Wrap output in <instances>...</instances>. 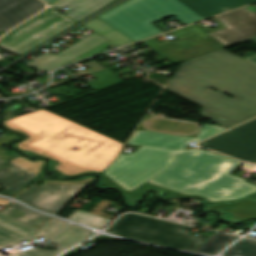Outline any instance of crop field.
<instances>
[{"instance_id":"6","label":"crop field","mask_w":256,"mask_h":256,"mask_svg":"<svg viewBox=\"0 0 256 256\" xmlns=\"http://www.w3.org/2000/svg\"><path fill=\"white\" fill-rule=\"evenodd\" d=\"M193 227L135 214L122 216L107 232L159 245L194 251L208 236H191Z\"/></svg>"},{"instance_id":"32","label":"crop field","mask_w":256,"mask_h":256,"mask_svg":"<svg viewBox=\"0 0 256 256\" xmlns=\"http://www.w3.org/2000/svg\"><path fill=\"white\" fill-rule=\"evenodd\" d=\"M251 40H253V41H255V42H256V38L251 39ZM248 60H250V61H252V62L256 63V56H252V57L248 58Z\"/></svg>"},{"instance_id":"1","label":"crop field","mask_w":256,"mask_h":256,"mask_svg":"<svg viewBox=\"0 0 256 256\" xmlns=\"http://www.w3.org/2000/svg\"><path fill=\"white\" fill-rule=\"evenodd\" d=\"M166 89L202 106V116L227 128L256 116V66L223 49L183 62Z\"/></svg>"},{"instance_id":"27","label":"crop field","mask_w":256,"mask_h":256,"mask_svg":"<svg viewBox=\"0 0 256 256\" xmlns=\"http://www.w3.org/2000/svg\"><path fill=\"white\" fill-rule=\"evenodd\" d=\"M109 45H113V46L117 47L116 45H114V44H112L111 42L108 41V42L102 44L101 46H99V47L93 49L92 51H90V52L84 54L83 56H81V57H79V58H77V59H75V60H73V61H71V62H69V63H72V62H75V61H79V60H82V59L91 57V56L97 54L98 52H100L102 49H104L105 47H107V46H109ZM69 63H67V64H69Z\"/></svg>"},{"instance_id":"20","label":"crop field","mask_w":256,"mask_h":256,"mask_svg":"<svg viewBox=\"0 0 256 256\" xmlns=\"http://www.w3.org/2000/svg\"><path fill=\"white\" fill-rule=\"evenodd\" d=\"M112 1L113 0H84L82 2L70 5L75 10L65 15L79 22Z\"/></svg>"},{"instance_id":"16","label":"crop field","mask_w":256,"mask_h":256,"mask_svg":"<svg viewBox=\"0 0 256 256\" xmlns=\"http://www.w3.org/2000/svg\"><path fill=\"white\" fill-rule=\"evenodd\" d=\"M35 177L36 175L10 162L0 170V186L3 187L0 194L12 197Z\"/></svg>"},{"instance_id":"22","label":"crop field","mask_w":256,"mask_h":256,"mask_svg":"<svg viewBox=\"0 0 256 256\" xmlns=\"http://www.w3.org/2000/svg\"><path fill=\"white\" fill-rule=\"evenodd\" d=\"M253 216H256V203L246 202L233 207L221 218L228 222H236Z\"/></svg>"},{"instance_id":"28","label":"crop field","mask_w":256,"mask_h":256,"mask_svg":"<svg viewBox=\"0 0 256 256\" xmlns=\"http://www.w3.org/2000/svg\"><path fill=\"white\" fill-rule=\"evenodd\" d=\"M94 181L93 176L85 177L81 181H73V182H55V181H46L44 183H53V184H76V183H91Z\"/></svg>"},{"instance_id":"21","label":"crop field","mask_w":256,"mask_h":256,"mask_svg":"<svg viewBox=\"0 0 256 256\" xmlns=\"http://www.w3.org/2000/svg\"><path fill=\"white\" fill-rule=\"evenodd\" d=\"M235 237L214 232L204 243H202L195 251L215 254L222 248L234 241Z\"/></svg>"},{"instance_id":"3","label":"crop field","mask_w":256,"mask_h":256,"mask_svg":"<svg viewBox=\"0 0 256 256\" xmlns=\"http://www.w3.org/2000/svg\"><path fill=\"white\" fill-rule=\"evenodd\" d=\"M7 121L42 137L30 145L82 167L102 170L123 146L44 109Z\"/></svg>"},{"instance_id":"11","label":"crop field","mask_w":256,"mask_h":256,"mask_svg":"<svg viewBox=\"0 0 256 256\" xmlns=\"http://www.w3.org/2000/svg\"><path fill=\"white\" fill-rule=\"evenodd\" d=\"M215 19L227 28L208 35L225 47L256 37V12L252 13L244 8L216 17Z\"/></svg>"},{"instance_id":"34","label":"crop field","mask_w":256,"mask_h":256,"mask_svg":"<svg viewBox=\"0 0 256 256\" xmlns=\"http://www.w3.org/2000/svg\"><path fill=\"white\" fill-rule=\"evenodd\" d=\"M4 163L3 159L0 158V166Z\"/></svg>"},{"instance_id":"7","label":"crop field","mask_w":256,"mask_h":256,"mask_svg":"<svg viewBox=\"0 0 256 256\" xmlns=\"http://www.w3.org/2000/svg\"><path fill=\"white\" fill-rule=\"evenodd\" d=\"M76 23L50 8L5 35L0 48L21 55Z\"/></svg>"},{"instance_id":"33","label":"crop field","mask_w":256,"mask_h":256,"mask_svg":"<svg viewBox=\"0 0 256 256\" xmlns=\"http://www.w3.org/2000/svg\"><path fill=\"white\" fill-rule=\"evenodd\" d=\"M46 2H48L50 5L56 3L58 0H44Z\"/></svg>"},{"instance_id":"2","label":"crop field","mask_w":256,"mask_h":256,"mask_svg":"<svg viewBox=\"0 0 256 256\" xmlns=\"http://www.w3.org/2000/svg\"><path fill=\"white\" fill-rule=\"evenodd\" d=\"M242 162L200 149L179 152L169 168L126 195L133 205L147 188L160 187L172 197L200 195L209 202L239 200L256 192V186L230 175Z\"/></svg>"},{"instance_id":"30","label":"crop field","mask_w":256,"mask_h":256,"mask_svg":"<svg viewBox=\"0 0 256 256\" xmlns=\"http://www.w3.org/2000/svg\"><path fill=\"white\" fill-rule=\"evenodd\" d=\"M79 1H82V0H64L60 4H58V5L54 6V7L59 9V8H62L64 6H67V5H70V4L79 2Z\"/></svg>"},{"instance_id":"25","label":"crop field","mask_w":256,"mask_h":256,"mask_svg":"<svg viewBox=\"0 0 256 256\" xmlns=\"http://www.w3.org/2000/svg\"><path fill=\"white\" fill-rule=\"evenodd\" d=\"M12 162L37 174V175L44 163L42 161H36L35 163H32V162H28L26 159H23V158H17L15 160H13Z\"/></svg>"},{"instance_id":"18","label":"crop field","mask_w":256,"mask_h":256,"mask_svg":"<svg viewBox=\"0 0 256 256\" xmlns=\"http://www.w3.org/2000/svg\"><path fill=\"white\" fill-rule=\"evenodd\" d=\"M92 232L69 225L50 242L58 244V247L66 250L76 244L85 241L88 237L92 236Z\"/></svg>"},{"instance_id":"12","label":"crop field","mask_w":256,"mask_h":256,"mask_svg":"<svg viewBox=\"0 0 256 256\" xmlns=\"http://www.w3.org/2000/svg\"><path fill=\"white\" fill-rule=\"evenodd\" d=\"M224 130L225 129L219 126L203 125L196 139L191 137L136 131L128 144L145 145L182 151L189 142H200Z\"/></svg>"},{"instance_id":"10","label":"crop field","mask_w":256,"mask_h":256,"mask_svg":"<svg viewBox=\"0 0 256 256\" xmlns=\"http://www.w3.org/2000/svg\"><path fill=\"white\" fill-rule=\"evenodd\" d=\"M88 185L89 184H43L40 187H32L20 195L17 199L35 209L43 210L47 213L56 215L72 198H74Z\"/></svg>"},{"instance_id":"26","label":"crop field","mask_w":256,"mask_h":256,"mask_svg":"<svg viewBox=\"0 0 256 256\" xmlns=\"http://www.w3.org/2000/svg\"><path fill=\"white\" fill-rule=\"evenodd\" d=\"M246 200L256 201V195H254V196H252V197H250ZM238 202H240V201H238ZM238 202L213 204L211 206H208V207L204 208L203 210H208V209H211V208L228 210V209L232 208L233 206H235Z\"/></svg>"},{"instance_id":"9","label":"crop field","mask_w":256,"mask_h":256,"mask_svg":"<svg viewBox=\"0 0 256 256\" xmlns=\"http://www.w3.org/2000/svg\"><path fill=\"white\" fill-rule=\"evenodd\" d=\"M199 145L243 161L256 163V119Z\"/></svg>"},{"instance_id":"13","label":"crop field","mask_w":256,"mask_h":256,"mask_svg":"<svg viewBox=\"0 0 256 256\" xmlns=\"http://www.w3.org/2000/svg\"><path fill=\"white\" fill-rule=\"evenodd\" d=\"M106 41L108 40L94 33L56 55L48 53L29 65L43 71H48L62 66Z\"/></svg>"},{"instance_id":"31","label":"crop field","mask_w":256,"mask_h":256,"mask_svg":"<svg viewBox=\"0 0 256 256\" xmlns=\"http://www.w3.org/2000/svg\"><path fill=\"white\" fill-rule=\"evenodd\" d=\"M14 0H0V8L13 2Z\"/></svg>"},{"instance_id":"15","label":"crop field","mask_w":256,"mask_h":256,"mask_svg":"<svg viewBox=\"0 0 256 256\" xmlns=\"http://www.w3.org/2000/svg\"><path fill=\"white\" fill-rule=\"evenodd\" d=\"M3 123H4L6 128L11 129V130H16V131L24 132L26 135H28L30 137L29 139H27V140H25V141H23L21 143H18L16 145H14L13 147L18 148L20 150H23L25 152H28L30 154L36 155V156H48L50 158H53L55 160H58V161L62 162L58 167H56L54 169V170L58 171L60 173V175H75V174H79V173H83V172H87V171L102 172L104 169H106L110 164H112L115 161V159L117 158L118 154L120 153L119 152L116 155V157L113 159V161L107 167H105L102 171L95 170V169L82 168V167H80L78 165H75V164L70 163V162H68L66 160H63L61 158H58V157H56L54 155H51L49 153H46V152H44L42 150H39L37 148H34V147L28 145L29 143L39 139L40 137H38V136H36V135H34V134L30 133V132H27V131H25V130H23V129L15 126V125H12V124H10V123H8L6 121H4Z\"/></svg>"},{"instance_id":"24","label":"crop field","mask_w":256,"mask_h":256,"mask_svg":"<svg viewBox=\"0 0 256 256\" xmlns=\"http://www.w3.org/2000/svg\"><path fill=\"white\" fill-rule=\"evenodd\" d=\"M224 256H256V242L243 239L226 251Z\"/></svg>"},{"instance_id":"19","label":"crop field","mask_w":256,"mask_h":256,"mask_svg":"<svg viewBox=\"0 0 256 256\" xmlns=\"http://www.w3.org/2000/svg\"><path fill=\"white\" fill-rule=\"evenodd\" d=\"M83 26L91 29L98 35L108 39L109 41H111L119 47L133 42L98 18L90 21L89 23Z\"/></svg>"},{"instance_id":"5","label":"crop field","mask_w":256,"mask_h":256,"mask_svg":"<svg viewBox=\"0 0 256 256\" xmlns=\"http://www.w3.org/2000/svg\"><path fill=\"white\" fill-rule=\"evenodd\" d=\"M132 146V145H128ZM138 151L116 161L103 172L100 186H115L126 194L170 166L178 151L132 146Z\"/></svg>"},{"instance_id":"29","label":"crop field","mask_w":256,"mask_h":256,"mask_svg":"<svg viewBox=\"0 0 256 256\" xmlns=\"http://www.w3.org/2000/svg\"><path fill=\"white\" fill-rule=\"evenodd\" d=\"M17 138H19V137L16 136V135L0 138V147H1L2 143L11 141V140H14V139H17ZM0 157H2V158L4 159V161H5L4 164H6L7 161L9 160V157L3 155L2 152H1V150H0ZM4 164H3V165H4ZM3 165H2V166H3ZM2 166H1V167H2Z\"/></svg>"},{"instance_id":"23","label":"crop field","mask_w":256,"mask_h":256,"mask_svg":"<svg viewBox=\"0 0 256 256\" xmlns=\"http://www.w3.org/2000/svg\"><path fill=\"white\" fill-rule=\"evenodd\" d=\"M69 220L87 224L95 228H104L108 223L111 222V220L98 217L80 210H78L73 216H71Z\"/></svg>"},{"instance_id":"17","label":"crop field","mask_w":256,"mask_h":256,"mask_svg":"<svg viewBox=\"0 0 256 256\" xmlns=\"http://www.w3.org/2000/svg\"><path fill=\"white\" fill-rule=\"evenodd\" d=\"M1 213L11 218H14L24 224H27L37 230H40L46 223H48L52 219L42 215L34 214L14 203H11Z\"/></svg>"},{"instance_id":"14","label":"crop field","mask_w":256,"mask_h":256,"mask_svg":"<svg viewBox=\"0 0 256 256\" xmlns=\"http://www.w3.org/2000/svg\"><path fill=\"white\" fill-rule=\"evenodd\" d=\"M39 0H16L0 9V32L9 30L32 14L43 9Z\"/></svg>"},{"instance_id":"8","label":"crop field","mask_w":256,"mask_h":256,"mask_svg":"<svg viewBox=\"0 0 256 256\" xmlns=\"http://www.w3.org/2000/svg\"><path fill=\"white\" fill-rule=\"evenodd\" d=\"M66 225L68 223L52 219L41 231H37L0 213V250L18 244L22 240L30 241L36 236L49 240ZM61 252L60 250L45 251L33 248L8 256H57Z\"/></svg>"},{"instance_id":"4","label":"crop field","mask_w":256,"mask_h":256,"mask_svg":"<svg viewBox=\"0 0 256 256\" xmlns=\"http://www.w3.org/2000/svg\"><path fill=\"white\" fill-rule=\"evenodd\" d=\"M256 0H129L98 17L133 41L162 33L153 22L171 16L189 24L219 13L218 7L230 10Z\"/></svg>"},{"instance_id":"35","label":"crop field","mask_w":256,"mask_h":256,"mask_svg":"<svg viewBox=\"0 0 256 256\" xmlns=\"http://www.w3.org/2000/svg\"><path fill=\"white\" fill-rule=\"evenodd\" d=\"M219 9H221L222 11L228 10L226 7H221V8H219Z\"/></svg>"}]
</instances>
